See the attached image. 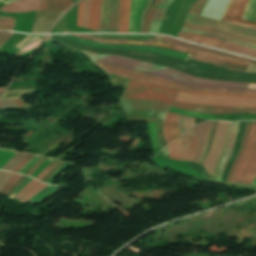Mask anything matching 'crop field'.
<instances>
[{
	"label": "crop field",
	"instance_id": "crop-field-12",
	"mask_svg": "<svg viewBox=\"0 0 256 256\" xmlns=\"http://www.w3.org/2000/svg\"><path fill=\"white\" fill-rule=\"evenodd\" d=\"M173 107L192 110V111L206 113V114L244 113V112L256 113V108L208 106V105H198V104L178 102V101L174 102Z\"/></svg>",
	"mask_w": 256,
	"mask_h": 256
},
{
	"label": "crop field",
	"instance_id": "crop-field-44",
	"mask_svg": "<svg viewBox=\"0 0 256 256\" xmlns=\"http://www.w3.org/2000/svg\"><path fill=\"white\" fill-rule=\"evenodd\" d=\"M192 138V141H191V148H190V151H189V155H188V159L187 160H190L192 161L193 160V156H194V153H195V149H196V145H197V142H198V138L197 136H191Z\"/></svg>",
	"mask_w": 256,
	"mask_h": 256
},
{
	"label": "crop field",
	"instance_id": "crop-field-38",
	"mask_svg": "<svg viewBox=\"0 0 256 256\" xmlns=\"http://www.w3.org/2000/svg\"><path fill=\"white\" fill-rule=\"evenodd\" d=\"M18 106H28L21 99L0 101V108L3 107H18Z\"/></svg>",
	"mask_w": 256,
	"mask_h": 256
},
{
	"label": "crop field",
	"instance_id": "crop-field-32",
	"mask_svg": "<svg viewBox=\"0 0 256 256\" xmlns=\"http://www.w3.org/2000/svg\"><path fill=\"white\" fill-rule=\"evenodd\" d=\"M161 0H155L154 4L152 5V7L150 8L147 17L145 19V23H144V27H143V31L142 33H147L148 32V28H149V24L153 18V15L157 9V7L159 6Z\"/></svg>",
	"mask_w": 256,
	"mask_h": 256
},
{
	"label": "crop field",
	"instance_id": "crop-field-20",
	"mask_svg": "<svg viewBox=\"0 0 256 256\" xmlns=\"http://www.w3.org/2000/svg\"><path fill=\"white\" fill-rule=\"evenodd\" d=\"M176 114L167 113L163 123V129L167 143H170L179 136Z\"/></svg>",
	"mask_w": 256,
	"mask_h": 256
},
{
	"label": "crop field",
	"instance_id": "crop-field-36",
	"mask_svg": "<svg viewBox=\"0 0 256 256\" xmlns=\"http://www.w3.org/2000/svg\"><path fill=\"white\" fill-rule=\"evenodd\" d=\"M59 188L48 185L46 188H44L41 192H39L37 195H35L29 202L37 203L40 199L48 195L49 193L57 190Z\"/></svg>",
	"mask_w": 256,
	"mask_h": 256
},
{
	"label": "crop field",
	"instance_id": "crop-field-3",
	"mask_svg": "<svg viewBox=\"0 0 256 256\" xmlns=\"http://www.w3.org/2000/svg\"><path fill=\"white\" fill-rule=\"evenodd\" d=\"M74 36H84V35H74ZM84 38L101 41V42H104V40H105V39H100V38H96V37H92V36H84ZM144 42L145 41H131V44L144 45ZM105 43L117 44V41L106 39ZM118 43L130 44V40H118ZM157 43H158V41L146 40L145 44L156 46ZM157 47L168 49V50H174V51L181 50V51H185V52L196 54V55L198 54V52L209 55V53H205V52L190 49V48L180 47V46H178L177 50H175V48H176L175 45H170V44L161 43V42L158 43ZM200 53L198 54V56L191 55L190 58L199 60V61H203V62H206L209 64H213V65H216V66H219L222 68H226V69H230V70H234V71H240V72H244L248 65V63L240 62V61L233 60L230 58L217 56V55H213V54L208 56V55H204V54H200Z\"/></svg>",
	"mask_w": 256,
	"mask_h": 256
},
{
	"label": "crop field",
	"instance_id": "crop-field-57",
	"mask_svg": "<svg viewBox=\"0 0 256 256\" xmlns=\"http://www.w3.org/2000/svg\"><path fill=\"white\" fill-rule=\"evenodd\" d=\"M45 159H46V157H44V158L42 159V161L28 174V176H30V175L38 168V166H39Z\"/></svg>",
	"mask_w": 256,
	"mask_h": 256
},
{
	"label": "crop field",
	"instance_id": "crop-field-34",
	"mask_svg": "<svg viewBox=\"0 0 256 256\" xmlns=\"http://www.w3.org/2000/svg\"><path fill=\"white\" fill-rule=\"evenodd\" d=\"M182 141V160L186 161L187 154L190 148V139L188 131L181 136Z\"/></svg>",
	"mask_w": 256,
	"mask_h": 256
},
{
	"label": "crop field",
	"instance_id": "crop-field-21",
	"mask_svg": "<svg viewBox=\"0 0 256 256\" xmlns=\"http://www.w3.org/2000/svg\"><path fill=\"white\" fill-rule=\"evenodd\" d=\"M145 0H131L129 16V32L137 33L138 21Z\"/></svg>",
	"mask_w": 256,
	"mask_h": 256
},
{
	"label": "crop field",
	"instance_id": "crop-field-63",
	"mask_svg": "<svg viewBox=\"0 0 256 256\" xmlns=\"http://www.w3.org/2000/svg\"><path fill=\"white\" fill-rule=\"evenodd\" d=\"M256 22V21H255Z\"/></svg>",
	"mask_w": 256,
	"mask_h": 256
},
{
	"label": "crop field",
	"instance_id": "crop-field-33",
	"mask_svg": "<svg viewBox=\"0 0 256 256\" xmlns=\"http://www.w3.org/2000/svg\"><path fill=\"white\" fill-rule=\"evenodd\" d=\"M195 124V118H186L179 115V130L180 134Z\"/></svg>",
	"mask_w": 256,
	"mask_h": 256
},
{
	"label": "crop field",
	"instance_id": "crop-field-51",
	"mask_svg": "<svg viewBox=\"0 0 256 256\" xmlns=\"http://www.w3.org/2000/svg\"><path fill=\"white\" fill-rule=\"evenodd\" d=\"M52 159L47 158V160L31 175V177L35 178L38 173L46 166L48 165ZM47 167V166H46Z\"/></svg>",
	"mask_w": 256,
	"mask_h": 256
},
{
	"label": "crop field",
	"instance_id": "crop-field-11",
	"mask_svg": "<svg viewBox=\"0 0 256 256\" xmlns=\"http://www.w3.org/2000/svg\"><path fill=\"white\" fill-rule=\"evenodd\" d=\"M119 0H102L100 32L117 33Z\"/></svg>",
	"mask_w": 256,
	"mask_h": 256
},
{
	"label": "crop field",
	"instance_id": "crop-field-6",
	"mask_svg": "<svg viewBox=\"0 0 256 256\" xmlns=\"http://www.w3.org/2000/svg\"><path fill=\"white\" fill-rule=\"evenodd\" d=\"M178 91L157 85L128 81L122 97L159 100L171 106Z\"/></svg>",
	"mask_w": 256,
	"mask_h": 256
},
{
	"label": "crop field",
	"instance_id": "crop-field-41",
	"mask_svg": "<svg viewBox=\"0 0 256 256\" xmlns=\"http://www.w3.org/2000/svg\"><path fill=\"white\" fill-rule=\"evenodd\" d=\"M170 111L180 113V114H185V115H191V116H197V117H202V118H207V119H213L209 115H206V114L184 111V110L173 108V107H171Z\"/></svg>",
	"mask_w": 256,
	"mask_h": 256
},
{
	"label": "crop field",
	"instance_id": "crop-field-46",
	"mask_svg": "<svg viewBox=\"0 0 256 256\" xmlns=\"http://www.w3.org/2000/svg\"><path fill=\"white\" fill-rule=\"evenodd\" d=\"M150 133H151L154 147L159 146L157 135H156V130H155V123H150Z\"/></svg>",
	"mask_w": 256,
	"mask_h": 256
},
{
	"label": "crop field",
	"instance_id": "crop-field-52",
	"mask_svg": "<svg viewBox=\"0 0 256 256\" xmlns=\"http://www.w3.org/2000/svg\"><path fill=\"white\" fill-rule=\"evenodd\" d=\"M69 164L65 163L53 176L50 180H48L45 183H49L51 180H53L58 174H60L66 167H68Z\"/></svg>",
	"mask_w": 256,
	"mask_h": 256
},
{
	"label": "crop field",
	"instance_id": "crop-field-8",
	"mask_svg": "<svg viewBox=\"0 0 256 256\" xmlns=\"http://www.w3.org/2000/svg\"><path fill=\"white\" fill-rule=\"evenodd\" d=\"M45 0H19L15 3L0 8L5 12H30L43 9ZM72 5V0H46L45 9L66 10Z\"/></svg>",
	"mask_w": 256,
	"mask_h": 256
},
{
	"label": "crop field",
	"instance_id": "crop-field-50",
	"mask_svg": "<svg viewBox=\"0 0 256 256\" xmlns=\"http://www.w3.org/2000/svg\"><path fill=\"white\" fill-rule=\"evenodd\" d=\"M83 3H84V1H82L81 3H79V9H78V21H77V26H79V27H81V23H82Z\"/></svg>",
	"mask_w": 256,
	"mask_h": 256
},
{
	"label": "crop field",
	"instance_id": "crop-field-48",
	"mask_svg": "<svg viewBox=\"0 0 256 256\" xmlns=\"http://www.w3.org/2000/svg\"><path fill=\"white\" fill-rule=\"evenodd\" d=\"M11 175H12L11 173L0 171V190H1L2 186L4 185V183L9 179V177Z\"/></svg>",
	"mask_w": 256,
	"mask_h": 256
},
{
	"label": "crop field",
	"instance_id": "crop-field-54",
	"mask_svg": "<svg viewBox=\"0 0 256 256\" xmlns=\"http://www.w3.org/2000/svg\"><path fill=\"white\" fill-rule=\"evenodd\" d=\"M39 41H40V40H39ZM39 41H37V42H35V43H33V44L29 45L28 47L24 48V49H23V50H21V51H28V50H30V49H32V48H34V47H36V46H37V44L39 43Z\"/></svg>",
	"mask_w": 256,
	"mask_h": 256
},
{
	"label": "crop field",
	"instance_id": "crop-field-7",
	"mask_svg": "<svg viewBox=\"0 0 256 256\" xmlns=\"http://www.w3.org/2000/svg\"><path fill=\"white\" fill-rule=\"evenodd\" d=\"M102 67L104 70H106L109 73H113L120 76L128 77L132 81L137 82H145V83H154L159 84L165 87L174 88V89H183V90H189V91H201V92H213V93H224V94H245V95H256V92H245V91H218V90H204V89H198V88H192V87H185L180 84H176L167 80H163L160 78L147 76L135 72H131L125 69H121L118 67H112L109 65H98Z\"/></svg>",
	"mask_w": 256,
	"mask_h": 256
},
{
	"label": "crop field",
	"instance_id": "crop-field-24",
	"mask_svg": "<svg viewBox=\"0 0 256 256\" xmlns=\"http://www.w3.org/2000/svg\"><path fill=\"white\" fill-rule=\"evenodd\" d=\"M173 0H162L154 18L150 25V29L148 33H158L160 29V25L164 16V13L167 7L172 3Z\"/></svg>",
	"mask_w": 256,
	"mask_h": 256
},
{
	"label": "crop field",
	"instance_id": "crop-field-40",
	"mask_svg": "<svg viewBox=\"0 0 256 256\" xmlns=\"http://www.w3.org/2000/svg\"><path fill=\"white\" fill-rule=\"evenodd\" d=\"M14 19L0 17V29L13 31Z\"/></svg>",
	"mask_w": 256,
	"mask_h": 256
},
{
	"label": "crop field",
	"instance_id": "crop-field-23",
	"mask_svg": "<svg viewBox=\"0 0 256 256\" xmlns=\"http://www.w3.org/2000/svg\"><path fill=\"white\" fill-rule=\"evenodd\" d=\"M100 6L101 0H90L89 19L87 28L98 31Z\"/></svg>",
	"mask_w": 256,
	"mask_h": 256
},
{
	"label": "crop field",
	"instance_id": "crop-field-22",
	"mask_svg": "<svg viewBox=\"0 0 256 256\" xmlns=\"http://www.w3.org/2000/svg\"><path fill=\"white\" fill-rule=\"evenodd\" d=\"M130 0H120L118 32L128 33V16Z\"/></svg>",
	"mask_w": 256,
	"mask_h": 256
},
{
	"label": "crop field",
	"instance_id": "crop-field-27",
	"mask_svg": "<svg viewBox=\"0 0 256 256\" xmlns=\"http://www.w3.org/2000/svg\"><path fill=\"white\" fill-rule=\"evenodd\" d=\"M223 50L256 58V51L226 42Z\"/></svg>",
	"mask_w": 256,
	"mask_h": 256
},
{
	"label": "crop field",
	"instance_id": "crop-field-5",
	"mask_svg": "<svg viewBox=\"0 0 256 256\" xmlns=\"http://www.w3.org/2000/svg\"><path fill=\"white\" fill-rule=\"evenodd\" d=\"M256 176V122L253 123L245 150L236 168L232 183L251 185Z\"/></svg>",
	"mask_w": 256,
	"mask_h": 256
},
{
	"label": "crop field",
	"instance_id": "crop-field-49",
	"mask_svg": "<svg viewBox=\"0 0 256 256\" xmlns=\"http://www.w3.org/2000/svg\"><path fill=\"white\" fill-rule=\"evenodd\" d=\"M88 8H89V0H85V10H84L83 26H82L84 28H86L87 26Z\"/></svg>",
	"mask_w": 256,
	"mask_h": 256
},
{
	"label": "crop field",
	"instance_id": "crop-field-1",
	"mask_svg": "<svg viewBox=\"0 0 256 256\" xmlns=\"http://www.w3.org/2000/svg\"><path fill=\"white\" fill-rule=\"evenodd\" d=\"M84 53H86L90 57L91 61H93L95 64H109L113 66H118L135 72L164 78L187 86L218 90L256 91V84L216 82L198 79L170 68L161 67L125 57L110 56L104 54L98 55L88 52Z\"/></svg>",
	"mask_w": 256,
	"mask_h": 256
},
{
	"label": "crop field",
	"instance_id": "crop-field-19",
	"mask_svg": "<svg viewBox=\"0 0 256 256\" xmlns=\"http://www.w3.org/2000/svg\"><path fill=\"white\" fill-rule=\"evenodd\" d=\"M46 186V184L40 183L33 179L17 193L14 199H18L20 202H28L35 194Z\"/></svg>",
	"mask_w": 256,
	"mask_h": 256
},
{
	"label": "crop field",
	"instance_id": "crop-field-9",
	"mask_svg": "<svg viewBox=\"0 0 256 256\" xmlns=\"http://www.w3.org/2000/svg\"><path fill=\"white\" fill-rule=\"evenodd\" d=\"M64 38L73 40L75 42L83 43L86 44L90 47L94 48H107V49H119V50H132V51H144V52H150L154 54H159V55H164L168 57H173V58H178L186 61L189 58V54H184V53H178V52H173V51H168L164 49H159L155 47H143V46H123V45H104V44H99L93 41H88L84 39H80L74 36L70 35H64Z\"/></svg>",
	"mask_w": 256,
	"mask_h": 256
},
{
	"label": "crop field",
	"instance_id": "crop-field-60",
	"mask_svg": "<svg viewBox=\"0 0 256 256\" xmlns=\"http://www.w3.org/2000/svg\"><path fill=\"white\" fill-rule=\"evenodd\" d=\"M253 184H256V178H255V180H254Z\"/></svg>",
	"mask_w": 256,
	"mask_h": 256
},
{
	"label": "crop field",
	"instance_id": "crop-field-58",
	"mask_svg": "<svg viewBox=\"0 0 256 256\" xmlns=\"http://www.w3.org/2000/svg\"><path fill=\"white\" fill-rule=\"evenodd\" d=\"M36 157V155H34V157L18 172L19 174H21V172L23 171V169L32 162V160Z\"/></svg>",
	"mask_w": 256,
	"mask_h": 256
},
{
	"label": "crop field",
	"instance_id": "crop-field-53",
	"mask_svg": "<svg viewBox=\"0 0 256 256\" xmlns=\"http://www.w3.org/2000/svg\"><path fill=\"white\" fill-rule=\"evenodd\" d=\"M32 178L28 177L16 190L15 192L10 196L13 197L22 187H24Z\"/></svg>",
	"mask_w": 256,
	"mask_h": 256
},
{
	"label": "crop field",
	"instance_id": "crop-field-4",
	"mask_svg": "<svg viewBox=\"0 0 256 256\" xmlns=\"http://www.w3.org/2000/svg\"><path fill=\"white\" fill-rule=\"evenodd\" d=\"M176 100L201 104L256 107V96H239L180 91Z\"/></svg>",
	"mask_w": 256,
	"mask_h": 256
},
{
	"label": "crop field",
	"instance_id": "crop-field-43",
	"mask_svg": "<svg viewBox=\"0 0 256 256\" xmlns=\"http://www.w3.org/2000/svg\"><path fill=\"white\" fill-rule=\"evenodd\" d=\"M15 152L5 151L0 149V169L13 156Z\"/></svg>",
	"mask_w": 256,
	"mask_h": 256
},
{
	"label": "crop field",
	"instance_id": "crop-field-62",
	"mask_svg": "<svg viewBox=\"0 0 256 256\" xmlns=\"http://www.w3.org/2000/svg\"><path fill=\"white\" fill-rule=\"evenodd\" d=\"M253 64H256V63H253Z\"/></svg>",
	"mask_w": 256,
	"mask_h": 256
},
{
	"label": "crop field",
	"instance_id": "crop-field-47",
	"mask_svg": "<svg viewBox=\"0 0 256 256\" xmlns=\"http://www.w3.org/2000/svg\"><path fill=\"white\" fill-rule=\"evenodd\" d=\"M33 155L28 154L26 157H24L20 163L12 170V172L17 173L31 158Z\"/></svg>",
	"mask_w": 256,
	"mask_h": 256
},
{
	"label": "crop field",
	"instance_id": "crop-field-26",
	"mask_svg": "<svg viewBox=\"0 0 256 256\" xmlns=\"http://www.w3.org/2000/svg\"><path fill=\"white\" fill-rule=\"evenodd\" d=\"M252 123L253 122H247V124H246L245 132H244V135H243V138H242V142H241V145H240L238 156H237V158H236V160H235V162H234V164H233V166H232V168L230 170V173H229V177H228V180H227L228 183H231V178L233 176L235 168H236V166H237V164H238V162L240 160V157L242 155V152L244 150V147H245V144H246V141H247V138H248V135H249Z\"/></svg>",
	"mask_w": 256,
	"mask_h": 256
},
{
	"label": "crop field",
	"instance_id": "crop-field-18",
	"mask_svg": "<svg viewBox=\"0 0 256 256\" xmlns=\"http://www.w3.org/2000/svg\"><path fill=\"white\" fill-rule=\"evenodd\" d=\"M155 40L169 42V43H172V44L185 46V47H190V48H194V49H199V50H203V51H207V52L227 56V57H230V58L238 59V60L245 61V62H254L253 60H250V59H246V58H243V57H239V56H236V55L228 54V53H225V52H221V51H217V50H213V49H209V48H204V47L188 44V43L178 41V40H175V39H171V38H167V37L156 36Z\"/></svg>",
	"mask_w": 256,
	"mask_h": 256
},
{
	"label": "crop field",
	"instance_id": "crop-field-28",
	"mask_svg": "<svg viewBox=\"0 0 256 256\" xmlns=\"http://www.w3.org/2000/svg\"><path fill=\"white\" fill-rule=\"evenodd\" d=\"M182 30L183 31H188V32H193V33L207 35V36H210V37L218 38V39H221V40H225V41H228V42H232V43H236V44H239V45H242V46H246V47H249V48L256 49L255 45L246 44V43H243V42H241L239 40L232 39V38H229V37H225V36H221V35H216V34H211V33H206V32H201V31H196V30H191V29H185V28H182Z\"/></svg>",
	"mask_w": 256,
	"mask_h": 256
},
{
	"label": "crop field",
	"instance_id": "crop-field-25",
	"mask_svg": "<svg viewBox=\"0 0 256 256\" xmlns=\"http://www.w3.org/2000/svg\"><path fill=\"white\" fill-rule=\"evenodd\" d=\"M183 26L188 27V28H192V29H196V30H201V31H206V32L217 33V34L229 36V37L236 38V39H239V40H242V41H245V42L256 45V40H254V39H249V38H245V37H241V36L221 32V31H218V30H215V29L202 27V26L191 25V24H186V23H184Z\"/></svg>",
	"mask_w": 256,
	"mask_h": 256
},
{
	"label": "crop field",
	"instance_id": "crop-field-39",
	"mask_svg": "<svg viewBox=\"0 0 256 256\" xmlns=\"http://www.w3.org/2000/svg\"><path fill=\"white\" fill-rule=\"evenodd\" d=\"M22 176L21 175H16V174H13L11 176V178L8 180V182L3 186L2 190H1V193H5L7 194L8 191L11 189V187L13 186V184L15 182H17Z\"/></svg>",
	"mask_w": 256,
	"mask_h": 256
},
{
	"label": "crop field",
	"instance_id": "crop-field-37",
	"mask_svg": "<svg viewBox=\"0 0 256 256\" xmlns=\"http://www.w3.org/2000/svg\"><path fill=\"white\" fill-rule=\"evenodd\" d=\"M208 0H198L191 7L189 13L199 15Z\"/></svg>",
	"mask_w": 256,
	"mask_h": 256
},
{
	"label": "crop field",
	"instance_id": "crop-field-10",
	"mask_svg": "<svg viewBox=\"0 0 256 256\" xmlns=\"http://www.w3.org/2000/svg\"><path fill=\"white\" fill-rule=\"evenodd\" d=\"M184 22L207 26V27L215 28L221 31L256 39V30L228 24L221 21H216V20L203 18V17H197V16L188 14Z\"/></svg>",
	"mask_w": 256,
	"mask_h": 256
},
{
	"label": "crop field",
	"instance_id": "crop-field-35",
	"mask_svg": "<svg viewBox=\"0 0 256 256\" xmlns=\"http://www.w3.org/2000/svg\"><path fill=\"white\" fill-rule=\"evenodd\" d=\"M26 155L27 153H17L9 160V162L2 168V170L11 171L18 164V162Z\"/></svg>",
	"mask_w": 256,
	"mask_h": 256
},
{
	"label": "crop field",
	"instance_id": "crop-field-45",
	"mask_svg": "<svg viewBox=\"0 0 256 256\" xmlns=\"http://www.w3.org/2000/svg\"><path fill=\"white\" fill-rule=\"evenodd\" d=\"M59 161L53 160L47 167H45L41 173L36 177V179L40 180L44 175H46Z\"/></svg>",
	"mask_w": 256,
	"mask_h": 256
},
{
	"label": "crop field",
	"instance_id": "crop-field-14",
	"mask_svg": "<svg viewBox=\"0 0 256 256\" xmlns=\"http://www.w3.org/2000/svg\"><path fill=\"white\" fill-rule=\"evenodd\" d=\"M238 125H239V122L232 124L228 144H227V147L225 149L224 155H223V157H222V159H221V161L218 165L215 181L220 182L223 169H224V167H225V165L228 161V158L231 154V151L233 149V145H234L236 134H237Z\"/></svg>",
	"mask_w": 256,
	"mask_h": 256
},
{
	"label": "crop field",
	"instance_id": "crop-field-16",
	"mask_svg": "<svg viewBox=\"0 0 256 256\" xmlns=\"http://www.w3.org/2000/svg\"><path fill=\"white\" fill-rule=\"evenodd\" d=\"M229 0H209L201 16L220 20Z\"/></svg>",
	"mask_w": 256,
	"mask_h": 256
},
{
	"label": "crop field",
	"instance_id": "crop-field-31",
	"mask_svg": "<svg viewBox=\"0 0 256 256\" xmlns=\"http://www.w3.org/2000/svg\"><path fill=\"white\" fill-rule=\"evenodd\" d=\"M242 18L253 21V22L255 21V19H256V0L249 1Z\"/></svg>",
	"mask_w": 256,
	"mask_h": 256
},
{
	"label": "crop field",
	"instance_id": "crop-field-13",
	"mask_svg": "<svg viewBox=\"0 0 256 256\" xmlns=\"http://www.w3.org/2000/svg\"><path fill=\"white\" fill-rule=\"evenodd\" d=\"M248 0H230L221 20L255 28L256 23L241 19Z\"/></svg>",
	"mask_w": 256,
	"mask_h": 256
},
{
	"label": "crop field",
	"instance_id": "crop-field-55",
	"mask_svg": "<svg viewBox=\"0 0 256 256\" xmlns=\"http://www.w3.org/2000/svg\"><path fill=\"white\" fill-rule=\"evenodd\" d=\"M39 158H40V156L36 157V158L34 159V161H33L29 166H27V167L24 169V171L22 172V174H24V173L26 172V170H27L33 163H35Z\"/></svg>",
	"mask_w": 256,
	"mask_h": 256
},
{
	"label": "crop field",
	"instance_id": "crop-field-30",
	"mask_svg": "<svg viewBox=\"0 0 256 256\" xmlns=\"http://www.w3.org/2000/svg\"><path fill=\"white\" fill-rule=\"evenodd\" d=\"M168 148L169 158L181 160V143L179 138L169 144Z\"/></svg>",
	"mask_w": 256,
	"mask_h": 256
},
{
	"label": "crop field",
	"instance_id": "crop-field-2",
	"mask_svg": "<svg viewBox=\"0 0 256 256\" xmlns=\"http://www.w3.org/2000/svg\"><path fill=\"white\" fill-rule=\"evenodd\" d=\"M128 121H156V130L161 148L167 146L162 123L169 106L152 100L120 98Z\"/></svg>",
	"mask_w": 256,
	"mask_h": 256
},
{
	"label": "crop field",
	"instance_id": "crop-field-61",
	"mask_svg": "<svg viewBox=\"0 0 256 256\" xmlns=\"http://www.w3.org/2000/svg\"><path fill=\"white\" fill-rule=\"evenodd\" d=\"M3 88H0V92H2Z\"/></svg>",
	"mask_w": 256,
	"mask_h": 256
},
{
	"label": "crop field",
	"instance_id": "crop-field-29",
	"mask_svg": "<svg viewBox=\"0 0 256 256\" xmlns=\"http://www.w3.org/2000/svg\"><path fill=\"white\" fill-rule=\"evenodd\" d=\"M216 125H217V122L216 121H212L211 122V126H210V130H209V134H208V137H207V141H206V145H205V149H204V152L199 160L198 163L202 164L204 159L206 158L209 150H210V146H211V143H212V140H213V136H214V132H215V129H216Z\"/></svg>",
	"mask_w": 256,
	"mask_h": 256
},
{
	"label": "crop field",
	"instance_id": "crop-field-15",
	"mask_svg": "<svg viewBox=\"0 0 256 256\" xmlns=\"http://www.w3.org/2000/svg\"><path fill=\"white\" fill-rule=\"evenodd\" d=\"M209 125H210V121L197 124L194 127H192L191 129H189L190 135L200 136L196 154H195V158L193 160L195 162H198V160L203 152Z\"/></svg>",
	"mask_w": 256,
	"mask_h": 256
},
{
	"label": "crop field",
	"instance_id": "crop-field-56",
	"mask_svg": "<svg viewBox=\"0 0 256 256\" xmlns=\"http://www.w3.org/2000/svg\"><path fill=\"white\" fill-rule=\"evenodd\" d=\"M123 77H120V78H116V79H112V82L114 83V84H116V83H119V82H121V81H123Z\"/></svg>",
	"mask_w": 256,
	"mask_h": 256
},
{
	"label": "crop field",
	"instance_id": "crop-field-59",
	"mask_svg": "<svg viewBox=\"0 0 256 256\" xmlns=\"http://www.w3.org/2000/svg\"><path fill=\"white\" fill-rule=\"evenodd\" d=\"M162 152H163V156L168 155V149H167V147H166L165 149H163Z\"/></svg>",
	"mask_w": 256,
	"mask_h": 256
},
{
	"label": "crop field",
	"instance_id": "crop-field-42",
	"mask_svg": "<svg viewBox=\"0 0 256 256\" xmlns=\"http://www.w3.org/2000/svg\"><path fill=\"white\" fill-rule=\"evenodd\" d=\"M40 38H42V37L27 36L24 40H22L20 43H18L15 47L20 50V49L28 46L29 44L35 42L36 40H38Z\"/></svg>",
	"mask_w": 256,
	"mask_h": 256
},
{
	"label": "crop field",
	"instance_id": "crop-field-17",
	"mask_svg": "<svg viewBox=\"0 0 256 256\" xmlns=\"http://www.w3.org/2000/svg\"><path fill=\"white\" fill-rule=\"evenodd\" d=\"M178 38L192 41L195 43H201L203 45H207V46H211L219 49H221V47L225 43V41H221L218 39H214V38H210V37H206L198 34L183 32V31H180Z\"/></svg>",
	"mask_w": 256,
	"mask_h": 256
}]
</instances>
